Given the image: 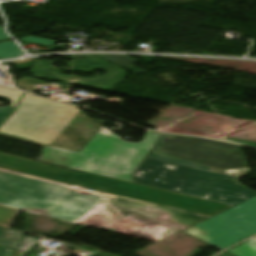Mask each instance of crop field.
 I'll list each match as a JSON object with an SVG mask.
<instances>
[{
	"label": "crop field",
	"mask_w": 256,
	"mask_h": 256,
	"mask_svg": "<svg viewBox=\"0 0 256 256\" xmlns=\"http://www.w3.org/2000/svg\"><path fill=\"white\" fill-rule=\"evenodd\" d=\"M247 173L238 145L163 134L135 182L236 206L194 226L208 233L209 243L225 249L256 234V192L238 183Z\"/></svg>",
	"instance_id": "8a807250"
},
{
	"label": "crop field",
	"mask_w": 256,
	"mask_h": 256,
	"mask_svg": "<svg viewBox=\"0 0 256 256\" xmlns=\"http://www.w3.org/2000/svg\"><path fill=\"white\" fill-rule=\"evenodd\" d=\"M103 125L76 107L24 93L0 127V136L82 153L83 171L132 182V173L160 134L147 132L142 142L133 144L115 139Z\"/></svg>",
	"instance_id": "ac0d7876"
},
{
	"label": "crop field",
	"mask_w": 256,
	"mask_h": 256,
	"mask_svg": "<svg viewBox=\"0 0 256 256\" xmlns=\"http://www.w3.org/2000/svg\"><path fill=\"white\" fill-rule=\"evenodd\" d=\"M102 204L127 208L151 205L105 193L75 190L12 173L0 174V205L16 209H43L48 211L49 217L74 222L82 221L89 214L99 213ZM152 206L165 210L179 224L193 225L205 219L188 212Z\"/></svg>",
	"instance_id": "34b2d1b8"
},
{
	"label": "crop field",
	"mask_w": 256,
	"mask_h": 256,
	"mask_svg": "<svg viewBox=\"0 0 256 256\" xmlns=\"http://www.w3.org/2000/svg\"><path fill=\"white\" fill-rule=\"evenodd\" d=\"M42 161L60 166L77 168L82 171L83 155L64 149L45 146Z\"/></svg>",
	"instance_id": "412701ff"
},
{
	"label": "crop field",
	"mask_w": 256,
	"mask_h": 256,
	"mask_svg": "<svg viewBox=\"0 0 256 256\" xmlns=\"http://www.w3.org/2000/svg\"><path fill=\"white\" fill-rule=\"evenodd\" d=\"M22 236V232L2 228L0 231V246L15 249Z\"/></svg>",
	"instance_id": "f4fd0767"
},
{
	"label": "crop field",
	"mask_w": 256,
	"mask_h": 256,
	"mask_svg": "<svg viewBox=\"0 0 256 256\" xmlns=\"http://www.w3.org/2000/svg\"><path fill=\"white\" fill-rule=\"evenodd\" d=\"M235 256H256V237L228 250Z\"/></svg>",
	"instance_id": "dd49c442"
},
{
	"label": "crop field",
	"mask_w": 256,
	"mask_h": 256,
	"mask_svg": "<svg viewBox=\"0 0 256 256\" xmlns=\"http://www.w3.org/2000/svg\"><path fill=\"white\" fill-rule=\"evenodd\" d=\"M23 54L13 41L0 44V59L15 58Z\"/></svg>",
	"instance_id": "e52e79f7"
},
{
	"label": "crop field",
	"mask_w": 256,
	"mask_h": 256,
	"mask_svg": "<svg viewBox=\"0 0 256 256\" xmlns=\"http://www.w3.org/2000/svg\"><path fill=\"white\" fill-rule=\"evenodd\" d=\"M19 210L0 206V226L9 228Z\"/></svg>",
	"instance_id": "d8731c3e"
},
{
	"label": "crop field",
	"mask_w": 256,
	"mask_h": 256,
	"mask_svg": "<svg viewBox=\"0 0 256 256\" xmlns=\"http://www.w3.org/2000/svg\"><path fill=\"white\" fill-rule=\"evenodd\" d=\"M83 56H91V55H74V58L83 57ZM97 56L103 57L108 61H110L111 63L115 65L123 66V67H130L136 61V59H132L126 56H102V55H97Z\"/></svg>",
	"instance_id": "5a996713"
},
{
	"label": "crop field",
	"mask_w": 256,
	"mask_h": 256,
	"mask_svg": "<svg viewBox=\"0 0 256 256\" xmlns=\"http://www.w3.org/2000/svg\"><path fill=\"white\" fill-rule=\"evenodd\" d=\"M41 239L23 236L20 243L16 247L17 250H21L24 252H30ZM25 249H29V251H25Z\"/></svg>",
	"instance_id": "3316defc"
},
{
	"label": "crop field",
	"mask_w": 256,
	"mask_h": 256,
	"mask_svg": "<svg viewBox=\"0 0 256 256\" xmlns=\"http://www.w3.org/2000/svg\"><path fill=\"white\" fill-rule=\"evenodd\" d=\"M20 40L30 41V42L40 43V44H46V45H51V46H54L56 43V41L46 40V39L32 37V36H29L25 39H20Z\"/></svg>",
	"instance_id": "28ad6ade"
},
{
	"label": "crop field",
	"mask_w": 256,
	"mask_h": 256,
	"mask_svg": "<svg viewBox=\"0 0 256 256\" xmlns=\"http://www.w3.org/2000/svg\"><path fill=\"white\" fill-rule=\"evenodd\" d=\"M185 232H187V233H189V234H191V235H193L195 237H198V238H200V239H202V240H204L206 242L209 241V239L207 238V234L206 233H204V232H202L200 230H197V229H195L193 227L185 230Z\"/></svg>",
	"instance_id": "d1516ede"
},
{
	"label": "crop field",
	"mask_w": 256,
	"mask_h": 256,
	"mask_svg": "<svg viewBox=\"0 0 256 256\" xmlns=\"http://www.w3.org/2000/svg\"><path fill=\"white\" fill-rule=\"evenodd\" d=\"M13 109L14 108L11 106L0 108V124L12 112Z\"/></svg>",
	"instance_id": "22f410ed"
},
{
	"label": "crop field",
	"mask_w": 256,
	"mask_h": 256,
	"mask_svg": "<svg viewBox=\"0 0 256 256\" xmlns=\"http://www.w3.org/2000/svg\"><path fill=\"white\" fill-rule=\"evenodd\" d=\"M33 59H34V58H32V59H26V60H24V61L14 62V63H17L19 69L25 70V69L29 68V66L31 65Z\"/></svg>",
	"instance_id": "cbeb9de0"
},
{
	"label": "crop field",
	"mask_w": 256,
	"mask_h": 256,
	"mask_svg": "<svg viewBox=\"0 0 256 256\" xmlns=\"http://www.w3.org/2000/svg\"><path fill=\"white\" fill-rule=\"evenodd\" d=\"M225 141L229 142H234V143H240V144H245V145H250V146H256V143L253 142H248V141H243L239 139H234V138H229V139H224Z\"/></svg>",
	"instance_id": "5142ce71"
},
{
	"label": "crop field",
	"mask_w": 256,
	"mask_h": 256,
	"mask_svg": "<svg viewBox=\"0 0 256 256\" xmlns=\"http://www.w3.org/2000/svg\"><path fill=\"white\" fill-rule=\"evenodd\" d=\"M69 85H70V84H67V83H62L61 85L50 84L49 87H53V88H56V89H60V90H62L63 92H66V90H67V88H68Z\"/></svg>",
	"instance_id": "d9b57169"
},
{
	"label": "crop field",
	"mask_w": 256,
	"mask_h": 256,
	"mask_svg": "<svg viewBox=\"0 0 256 256\" xmlns=\"http://www.w3.org/2000/svg\"><path fill=\"white\" fill-rule=\"evenodd\" d=\"M12 251L13 250H11V249H6V248L0 247V256H11Z\"/></svg>",
	"instance_id": "733c2abd"
},
{
	"label": "crop field",
	"mask_w": 256,
	"mask_h": 256,
	"mask_svg": "<svg viewBox=\"0 0 256 256\" xmlns=\"http://www.w3.org/2000/svg\"><path fill=\"white\" fill-rule=\"evenodd\" d=\"M10 37L7 36L4 31L2 30V28L0 27V41L1 40H5V39H9Z\"/></svg>",
	"instance_id": "4a817a6b"
},
{
	"label": "crop field",
	"mask_w": 256,
	"mask_h": 256,
	"mask_svg": "<svg viewBox=\"0 0 256 256\" xmlns=\"http://www.w3.org/2000/svg\"><path fill=\"white\" fill-rule=\"evenodd\" d=\"M24 252H20V251H15V255L14 256H24Z\"/></svg>",
	"instance_id": "bc2a9ffb"
},
{
	"label": "crop field",
	"mask_w": 256,
	"mask_h": 256,
	"mask_svg": "<svg viewBox=\"0 0 256 256\" xmlns=\"http://www.w3.org/2000/svg\"><path fill=\"white\" fill-rule=\"evenodd\" d=\"M220 255H222V256H233V255H231V254H229V253H227V252H224V253H222V254H220Z\"/></svg>",
	"instance_id": "214f88e0"
},
{
	"label": "crop field",
	"mask_w": 256,
	"mask_h": 256,
	"mask_svg": "<svg viewBox=\"0 0 256 256\" xmlns=\"http://www.w3.org/2000/svg\"><path fill=\"white\" fill-rule=\"evenodd\" d=\"M55 256H58V255H55Z\"/></svg>",
	"instance_id": "92a150f3"
},
{
	"label": "crop field",
	"mask_w": 256,
	"mask_h": 256,
	"mask_svg": "<svg viewBox=\"0 0 256 256\" xmlns=\"http://www.w3.org/2000/svg\"><path fill=\"white\" fill-rule=\"evenodd\" d=\"M218 256H220V255H218Z\"/></svg>",
	"instance_id": "dafd665d"
}]
</instances>
